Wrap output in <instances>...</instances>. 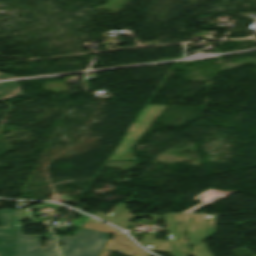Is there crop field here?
Listing matches in <instances>:
<instances>
[{
    "instance_id": "1",
    "label": "crop field",
    "mask_w": 256,
    "mask_h": 256,
    "mask_svg": "<svg viewBox=\"0 0 256 256\" xmlns=\"http://www.w3.org/2000/svg\"><path fill=\"white\" fill-rule=\"evenodd\" d=\"M218 216L168 215L165 218L170 241L155 240L157 233L145 234L140 243L150 251L173 256H212L201 243L214 235L215 221ZM180 223V225H178ZM184 233H187V243ZM189 251V245H195Z\"/></svg>"
},
{
    "instance_id": "2",
    "label": "crop field",
    "mask_w": 256,
    "mask_h": 256,
    "mask_svg": "<svg viewBox=\"0 0 256 256\" xmlns=\"http://www.w3.org/2000/svg\"><path fill=\"white\" fill-rule=\"evenodd\" d=\"M51 206L58 209L63 206L54 205L50 203L25 208L23 210H13L14 234L16 236L17 256H58L55 246V239L52 233L46 234L47 243L44 248L40 247L39 235L25 236L22 232L20 220L30 218L33 223L38 222L32 215L31 210Z\"/></svg>"
},
{
    "instance_id": "3",
    "label": "crop field",
    "mask_w": 256,
    "mask_h": 256,
    "mask_svg": "<svg viewBox=\"0 0 256 256\" xmlns=\"http://www.w3.org/2000/svg\"><path fill=\"white\" fill-rule=\"evenodd\" d=\"M109 234L80 228L74 236L57 237L62 256H98Z\"/></svg>"
},
{
    "instance_id": "4",
    "label": "crop field",
    "mask_w": 256,
    "mask_h": 256,
    "mask_svg": "<svg viewBox=\"0 0 256 256\" xmlns=\"http://www.w3.org/2000/svg\"><path fill=\"white\" fill-rule=\"evenodd\" d=\"M166 105H146L138 117L135 119L134 124L123 137L115 154L108 158L112 161L133 160L135 159L131 147L147 130L152 122L164 110Z\"/></svg>"
},
{
    "instance_id": "5",
    "label": "crop field",
    "mask_w": 256,
    "mask_h": 256,
    "mask_svg": "<svg viewBox=\"0 0 256 256\" xmlns=\"http://www.w3.org/2000/svg\"><path fill=\"white\" fill-rule=\"evenodd\" d=\"M83 228L114 233V240H109L99 256H109L111 251H116L127 256H151L147 252L135 246L123 233L106 224H101L90 218ZM110 249L111 251H107Z\"/></svg>"
},
{
    "instance_id": "6",
    "label": "crop field",
    "mask_w": 256,
    "mask_h": 256,
    "mask_svg": "<svg viewBox=\"0 0 256 256\" xmlns=\"http://www.w3.org/2000/svg\"><path fill=\"white\" fill-rule=\"evenodd\" d=\"M0 226V256H16L15 236L13 234L12 223V210H0Z\"/></svg>"
},
{
    "instance_id": "7",
    "label": "crop field",
    "mask_w": 256,
    "mask_h": 256,
    "mask_svg": "<svg viewBox=\"0 0 256 256\" xmlns=\"http://www.w3.org/2000/svg\"><path fill=\"white\" fill-rule=\"evenodd\" d=\"M234 192H236V191H219V190L209 189V190L201 193L197 197L193 198L195 200H197L198 198H202L201 201H200V202H202L201 204H199V205H197V206H195V207H193V208H191V209H189V210H187L183 213H192V212H194V211H196L200 208H203L202 206H204V205L207 206V205H209V204H211V203H213L217 200H220V199L214 200V198H217L218 196H220L221 199H222V198H224V197H226V196H228V195H230ZM206 193H210V195H206ZM203 195L205 196L204 198L201 197Z\"/></svg>"
},
{
    "instance_id": "8",
    "label": "crop field",
    "mask_w": 256,
    "mask_h": 256,
    "mask_svg": "<svg viewBox=\"0 0 256 256\" xmlns=\"http://www.w3.org/2000/svg\"><path fill=\"white\" fill-rule=\"evenodd\" d=\"M22 96L16 82L0 83V101Z\"/></svg>"
},
{
    "instance_id": "9",
    "label": "crop field",
    "mask_w": 256,
    "mask_h": 256,
    "mask_svg": "<svg viewBox=\"0 0 256 256\" xmlns=\"http://www.w3.org/2000/svg\"><path fill=\"white\" fill-rule=\"evenodd\" d=\"M138 216H149V217H153L152 220L149 222L150 225H154V223L157 221V219H161L162 216H154V215H147V214H143V215H137V216H132L130 214V212L125 208L113 221L112 223L121 226L123 228H125L127 226V224L135 217Z\"/></svg>"
},
{
    "instance_id": "10",
    "label": "crop field",
    "mask_w": 256,
    "mask_h": 256,
    "mask_svg": "<svg viewBox=\"0 0 256 256\" xmlns=\"http://www.w3.org/2000/svg\"><path fill=\"white\" fill-rule=\"evenodd\" d=\"M126 204L125 203H118L116 207L108 213V215L97 212L95 216H98L104 220L110 221Z\"/></svg>"
},
{
    "instance_id": "11",
    "label": "crop field",
    "mask_w": 256,
    "mask_h": 256,
    "mask_svg": "<svg viewBox=\"0 0 256 256\" xmlns=\"http://www.w3.org/2000/svg\"><path fill=\"white\" fill-rule=\"evenodd\" d=\"M11 77H14V76L6 75V74H1L0 75V79H2V78H11Z\"/></svg>"
}]
</instances>
